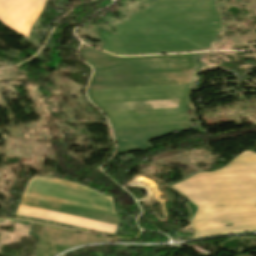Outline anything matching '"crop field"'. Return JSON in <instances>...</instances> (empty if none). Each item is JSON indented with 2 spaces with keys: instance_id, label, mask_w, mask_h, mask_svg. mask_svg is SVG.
I'll use <instances>...</instances> for the list:
<instances>
[{
  "instance_id": "ac0d7876",
  "label": "crop field",
  "mask_w": 256,
  "mask_h": 256,
  "mask_svg": "<svg viewBox=\"0 0 256 256\" xmlns=\"http://www.w3.org/2000/svg\"><path fill=\"white\" fill-rule=\"evenodd\" d=\"M22 197L115 214L111 198L58 179L34 177Z\"/></svg>"
},
{
  "instance_id": "8a807250",
  "label": "crop field",
  "mask_w": 256,
  "mask_h": 256,
  "mask_svg": "<svg viewBox=\"0 0 256 256\" xmlns=\"http://www.w3.org/2000/svg\"><path fill=\"white\" fill-rule=\"evenodd\" d=\"M198 207L195 238L256 231V153L244 152L226 167L173 185Z\"/></svg>"
},
{
  "instance_id": "34b2d1b8",
  "label": "crop field",
  "mask_w": 256,
  "mask_h": 256,
  "mask_svg": "<svg viewBox=\"0 0 256 256\" xmlns=\"http://www.w3.org/2000/svg\"><path fill=\"white\" fill-rule=\"evenodd\" d=\"M16 214L39 218V219L50 220V221H55V222L73 225V226H77V227H82V228H86V229H91V230H95V231H99V232H104V233H108V234H114L115 229L117 227L116 225H111V224H106V223H101V222L61 215V214H56V213H51V212L21 207V206H19Z\"/></svg>"
}]
</instances>
